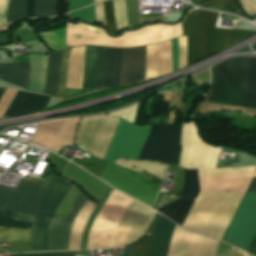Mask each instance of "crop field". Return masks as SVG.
I'll list each match as a JSON object with an SVG mask.
<instances>
[{
	"instance_id": "obj_1",
	"label": "crop field",
	"mask_w": 256,
	"mask_h": 256,
	"mask_svg": "<svg viewBox=\"0 0 256 256\" xmlns=\"http://www.w3.org/2000/svg\"><path fill=\"white\" fill-rule=\"evenodd\" d=\"M152 125H134L120 120L104 160L115 162L116 157L139 159ZM180 127L153 125L140 159L177 164L179 158ZM107 163L100 179L128 195L151 205L158 192L157 184L137 172L146 171L160 179L165 178L167 165L154 162L117 159Z\"/></svg>"
},
{
	"instance_id": "obj_2",
	"label": "crop field",
	"mask_w": 256,
	"mask_h": 256,
	"mask_svg": "<svg viewBox=\"0 0 256 256\" xmlns=\"http://www.w3.org/2000/svg\"><path fill=\"white\" fill-rule=\"evenodd\" d=\"M72 184L52 174L36 208L30 252L47 251L54 213ZM80 192L67 217L55 216L49 238L48 251L67 250L73 223L86 202ZM96 204L87 200L71 231L68 250L79 249L82 231Z\"/></svg>"
},
{
	"instance_id": "obj_3",
	"label": "crop field",
	"mask_w": 256,
	"mask_h": 256,
	"mask_svg": "<svg viewBox=\"0 0 256 256\" xmlns=\"http://www.w3.org/2000/svg\"><path fill=\"white\" fill-rule=\"evenodd\" d=\"M113 189L90 230L87 249L113 247L116 226L133 200ZM153 214L133 200L118 226L131 228L129 242L133 241L147 228Z\"/></svg>"
},
{
	"instance_id": "obj_4",
	"label": "crop field",
	"mask_w": 256,
	"mask_h": 256,
	"mask_svg": "<svg viewBox=\"0 0 256 256\" xmlns=\"http://www.w3.org/2000/svg\"><path fill=\"white\" fill-rule=\"evenodd\" d=\"M206 101L256 108V58H230L212 68Z\"/></svg>"
},
{
	"instance_id": "obj_5",
	"label": "crop field",
	"mask_w": 256,
	"mask_h": 256,
	"mask_svg": "<svg viewBox=\"0 0 256 256\" xmlns=\"http://www.w3.org/2000/svg\"><path fill=\"white\" fill-rule=\"evenodd\" d=\"M217 13L190 11L183 22L184 36L188 39L187 65L219 52L253 34L250 31L215 29Z\"/></svg>"
},
{
	"instance_id": "obj_6",
	"label": "crop field",
	"mask_w": 256,
	"mask_h": 256,
	"mask_svg": "<svg viewBox=\"0 0 256 256\" xmlns=\"http://www.w3.org/2000/svg\"><path fill=\"white\" fill-rule=\"evenodd\" d=\"M242 196L200 191L182 226L221 239Z\"/></svg>"
},
{
	"instance_id": "obj_7",
	"label": "crop field",
	"mask_w": 256,
	"mask_h": 256,
	"mask_svg": "<svg viewBox=\"0 0 256 256\" xmlns=\"http://www.w3.org/2000/svg\"><path fill=\"white\" fill-rule=\"evenodd\" d=\"M182 35L180 24L175 26L152 25L135 32H127L119 38H109L100 28L84 24L67 23V46L83 44L110 47H131L148 45Z\"/></svg>"
},
{
	"instance_id": "obj_8",
	"label": "crop field",
	"mask_w": 256,
	"mask_h": 256,
	"mask_svg": "<svg viewBox=\"0 0 256 256\" xmlns=\"http://www.w3.org/2000/svg\"><path fill=\"white\" fill-rule=\"evenodd\" d=\"M219 150L203 141L194 122L183 123L180 167L198 168L199 176L255 172L256 166L216 169Z\"/></svg>"
},
{
	"instance_id": "obj_9",
	"label": "crop field",
	"mask_w": 256,
	"mask_h": 256,
	"mask_svg": "<svg viewBox=\"0 0 256 256\" xmlns=\"http://www.w3.org/2000/svg\"><path fill=\"white\" fill-rule=\"evenodd\" d=\"M136 106L109 114L83 117L75 143L103 160L120 118L133 123Z\"/></svg>"
},
{
	"instance_id": "obj_10",
	"label": "crop field",
	"mask_w": 256,
	"mask_h": 256,
	"mask_svg": "<svg viewBox=\"0 0 256 256\" xmlns=\"http://www.w3.org/2000/svg\"><path fill=\"white\" fill-rule=\"evenodd\" d=\"M175 224L158 215L146 256H168ZM197 234L175 227L169 256H192Z\"/></svg>"
},
{
	"instance_id": "obj_11",
	"label": "crop field",
	"mask_w": 256,
	"mask_h": 256,
	"mask_svg": "<svg viewBox=\"0 0 256 256\" xmlns=\"http://www.w3.org/2000/svg\"><path fill=\"white\" fill-rule=\"evenodd\" d=\"M256 235V193L246 191L222 240L248 251Z\"/></svg>"
},
{
	"instance_id": "obj_12",
	"label": "crop field",
	"mask_w": 256,
	"mask_h": 256,
	"mask_svg": "<svg viewBox=\"0 0 256 256\" xmlns=\"http://www.w3.org/2000/svg\"><path fill=\"white\" fill-rule=\"evenodd\" d=\"M44 186L21 179L16 189L0 186V212L32 220Z\"/></svg>"
},
{
	"instance_id": "obj_13",
	"label": "crop field",
	"mask_w": 256,
	"mask_h": 256,
	"mask_svg": "<svg viewBox=\"0 0 256 256\" xmlns=\"http://www.w3.org/2000/svg\"><path fill=\"white\" fill-rule=\"evenodd\" d=\"M145 54V46L123 49L120 86L144 80Z\"/></svg>"
},
{
	"instance_id": "obj_14",
	"label": "crop field",
	"mask_w": 256,
	"mask_h": 256,
	"mask_svg": "<svg viewBox=\"0 0 256 256\" xmlns=\"http://www.w3.org/2000/svg\"><path fill=\"white\" fill-rule=\"evenodd\" d=\"M146 79L172 72L170 40L146 46Z\"/></svg>"
},
{
	"instance_id": "obj_15",
	"label": "crop field",
	"mask_w": 256,
	"mask_h": 256,
	"mask_svg": "<svg viewBox=\"0 0 256 256\" xmlns=\"http://www.w3.org/2000/svg\"><path fill=\"white\" fill-rule=\"evenodd\" d=\"M49 99V96L18 91L4 117L20 116L44 109Z\"/></svg>"
},
{
	"instance_id": "obj_16",
	"label": "crop field",
	"mask_w": 256,
	"mask_h": 256,
	"mask_svg": "<svg viewBox=\"0 0 256 256\" xmlns=\"http://www.w3.org/2000/svg\"><path fill=\"white\" fill-rule=\"evenodd\" d=\"M30 63L0 64V80L26 88L29 84Z\"/></svg>"
},
{
	"instance_id": "obj_17",
	"label": "crop field",
	"mask_w": 256,
	"mask_h": 256,
	"mask_svg": "<svg viewBox=\"0 0 256 256\" xmlns=\"http://www.w3.org/2000/svg\"><path fill=\"white\" fill-rule=\"evenodd\" d=\"M84 50L85 46L71 49L66 88L82 89Z\"/></svg>"
},
{
	"instance_id": "obj_18",
	"label": "crop field",
	"mask_w": 256,
	"mask_h": 256,
	"mask_svg": "<svg viewBox=\"0 0 256 256\" xmlns=\"http://www.w3.org/2000/svg\"><path fill=\"white\" fill-rule=\"evenodd\" d=\"M121 54H122V49L106 48L104 88L118 85L120 64H121Z\"/></svg>"
},
{
	"instance_id": "obj_19",
	"label": "crop field",
	"mask_w": 256,
	"mask_h": 256,
	"mask_svg": "<svg viewBox=\"0 0 256 256\" xmlns=\"http://www.w3.org/2000/svg\"><path fill=\"white\" fill-rule=\"evenodd\" d=\"M44 25H45V22L39 23L35 27V33L39 34V33L54 31V30H47ZM64 28H66V21L62 20L61 27L56 30L64 29ZM38 36L45 43V45L51 49L52 53L62 48H68L67 46H65L66 29L39 34Z\"/></svg>"
},
{
	"instance_id": "obj_20",
	"label": "crop field",
	"mask_w": 256,
	"mask_h": 256,
	"mask_svg": "<svg viewBox=\"0 0 256 256\" xmlns=\"http://www.w3.org/2000/svg\"><path fill=\"white\" fill-rule=\"evenodd\" d=\"M48 55L30 56L31 77L28 91L43 94Z\"/></svg>"
},
{
	"instance_id": "obj_21",
	"label": "crop field",
	"mask_w": 256,
	"mask_h": 256,
	"mask_svg": "<svg viewBox=\"0 0 256 256\" xmlns=\"http://www.w3.org/2000/svg\"><path fill=\"white\" fill-rule=\"evenodd\" d=\"M217 240L199 235L194 256H214ZM231 246L219 241L215 256H230Z\"/></svg>"
},
{
	"instance_id": "obj_22",
	"label": "crop field",
	"mask_w": 256,
	"mask_h": 256,
	"mask_svg": "<svg viewBox=\"0 0 256 256\" xmlns=\"http://www.w3.org/2000/svg\"><path fill=\"white\" fill-rule=\"evenodd\" d=\"M194 199L178 198L156 210L174 222L182 225Z\"/></svg>"
},
{
	"instance_id": "obj_23",
	"label": "crop field",
	"mask_w": 256,
	"mask_h": 256,
	"mask_svg": "<svg viewBox=\"0 0 256 256\" xmlns=\"http://www.w3.org/2000/svg\"><path fill=\"white\" fill-rule=\"evenodd\" d=\"M97 47L86 46L83 94L92 92L94 88V72L96 63Z\"/></svg>"
},
{
	"instance_id": "obj_24",
	"label": "crop field",
	"mask_w": 256,
	"mask_h": 256,
	"mask_svg": "<svg viewBox=\"0 0 256 256\" xmlns=\"http://www.w3.org/2000/svg\"><path fill=\"white\" fill-rule=\"evenodd\" d=\"M61 52L50 54L47 81L44 94L54 96L56 95L58 74L60 67Z\"/></svg>"
},
{
	"instance_id": "obj_25",
	"label": "crop field",
	"mask_w": 256,
	"mask_h": 256,
	"mask_svg": "<svg viewBox=\"0 0 256 256\" xmlns=\"http://www.w3.org/2000/svg\"><path fill=\"white\" fill-rule=\"evenodd\" d=\"M184 174H185L184 190H183L182 196L180 197L195 198L199 191L197 169L196 170L185 169Z\"/></svg>"
},
{
	"instance_id": "obj_26",
	"label": "crop field",
	"mask_w": 256,
	"mask_h": 256,
	"mask_svg": "<svg viewBox=\"0 0 256 256\" xmlns=\"http://www.w3.org/2000/svg\"><path fill=\"white\" fill-rule=\"evenodd\" d=\"M0 240L30 242V230L0 227Z\"/></svg>"
},
{
	"instance_id": "obj_27",
	"label": "crop field",
	"mask_w": 256,
	"mask_h": 256,
	"mask_svg": "<svg viewBox=\"0 0 256 256\" xmlns=\"http://www.w3.org/2000/svg\"><path fill=\"white\" fill-rule=\"evenodd\" d=\"M149 239H150V236L143 235L137 240V242L135 241L136 246H135V242H133L129 245H126L125 249H124L123 256H132L134 246H135V249H134L133 256H145L147 247H148V243H149Z\"/></svg>"
},
{
	"instance_id": "obj_28",
	"label": "crop field",
	"mask_w": 256,
	"mask_h": 256,
	"mask_svg": "<svg viewBox=\"0 0 256 256\" xmlns=\"http://www.w3.org/2000/svg\"><path fill=\"white\" fill-rule=\"evenodd\" d=\"M69 51H70V48L64 49L62 53L60 76H59L58 89H57V95H56V97L62 98V99L64 95L65 83L67 78Z\"/></svg>"
},
{
	"instance_id": "obj_29",
	"label": "crop field",
	"mask_w": 256,
	"mask_h": 256,
	"mask_svg": "<svg viewBox=\"0 0 256 256\" xmlns=\"http://www.w3.org/2000/svg\"><path fill=\"white\" fill-rule=\"evenodd\" d=\"M54 0H34V17L53 16Z\"/></svg>"
},
{
	"instance_id": "obj_30",
	"label": "crop field",
	"mask_w": 256,
	"mask_h": 256,
	"mask_svg": "<svg viewBox=\"0 0 256 256\" xmlns=\"http://www.w3.org/2000/svg\"><path fill=\"white\" fill-rule=\"evenodd\" d=\"M113 1H114L117 33H118L120 29L128 27L125 0H113Z\"/></svg>"
},
{
	"instance_id": "obj_31",
	"label": "crop field",
	"mask_w": 256,
	"mask_h": 256,
	"mask_svg": "<svg viewBox=\"0 0 256 256\" xmlns=\"http://www.w3.org/2000/svg\"><path fill=\"white\" fill-rule=\"evenodd\" d=\"M21 17H25V0H10L7 14L8 24Z\"/></svg>"
},
{
	"instance_id": "obj_32",
	"label": "crop field",
	"mask_w": 256,
	"mask_h": 256,
	"mask_svg": "<svg viewBox=\"0 0 256 256\" xmlns=\"http://www.w3.org/2000/svg\"><path fill=\"white\" fill-rule=\"evenodd\" d=\"M104 51H105V47H99L98 54H97L96 77H95L94 91L102 89L103 71H104Z\"/></svg>"
},
{
	"instance_id": "obj_33",
	"label": "crop field",
	"mask_w": 256,
	"mask_h": 256,
	"mask_svg": "<svg viewBox=\"0 0 256 256\" xmlns=\"http://www.w3.org/2000/svg\"><path fill=\"white\" fill-rule=\"evenodd\" d=\"M31 222L0 213V226L30 228Z\"/></svg>"
},
{
	"instance_id": "obj_34",
	"label": "crop field",
	"mask_w": 256,
	"mask_h": 256,
	"mask_svg": "<svg viewBox=\"0 0 256 256\" xmlns=\"http://www.w3.org/2000/svg\"><path fill=\"white\" fill-rule=\"evenodd\" d=\"M104 14H105L106 28H108L111 31V33L116 34L115 17H114L112 0H108L104 2Z\"/></svg>"
},
{
	"instance_id": "obj_35",
	"label": "crop field",
	"mask_w": 256,
	"mask_h": 256,
	"mask_svg": "<svg viewBox=\"0 0 256 256\" xmlns=\"http://www.w3.org/2000/svg\"><path fill=\"white\" fill-rule=\"evenodd\" d=\"M79 192L80 191L73 185L70 192L67 194L66 198L64 199V201L62 202V204L58 208L57 212L67 215L73 201L75 200V198L77 197ZM58 213H57V215H61V214H58ZM65 215H61V216L65 217Z\"/></svg>"
},
{
	"instance_id": "obj_36",
	"label": "crop field",
	"mask_w": 256,
	"mask_h": 256,
	"mask_svg": "<svg viewBox=\"0 0 256 256\" xmlns=\"http://www.w3.org/2000/svg\"><path fill=\"white\" fill-rule=\"evenodd\" d=\"M71 17L73 21L77 19H85L87 21L96 23L94 5L72 12Z\"/></svg>"
},
{
	"instance_id": "obj_37",
	"label": "crop field",
	"mask_w": 256,
	"mask_h": 256,
	"mask_svg": "<svg viewBox=\"0 0 256 256\" xmlns=\"http://www.w3.org/2000/svg\"><path fill=\"white\" fill-rule=\"evenodd\" d=\"M16 93L17 90L6 88L5 92L0 98V117H3Z\"/></svg>"
},
{
	"instance_id": "obj_38",
	"label": "crop field",
	"mask_w": 256,
	"mask_h": 256,
	"mask_svg": "<svg viewBox=\"0 0 256 256\" xmlns=\"http://www.w3.org/2000/svg\"><path fill=\"white\" fill-rule=\"evenodd\" d=\"M179 43V69L186 66L187 60V39L185 37L178 38Z\"/></svg>"
},
{
	"instance_id": "obj_39",
	"label": "crop field",
	"mask_w": 256,
	"mask_h": 256,
	"mask_svg": "<svg viewBox=\"0 0 256 256\" xmlns=\"http://www.w3.org/2000/svg\"><path fill=\"white\" fill-rule=\"evenodd\" d=\"M130 229L117 227L115 244L119 245L127 242Z\"/></svg>"
},
{
	"instance_id": "obj_40",
	"label": "crop field",
	"mask_w": 256,
	"mask_h": 256,
	"mask_svg": "<svg viewBox=\"0 0 256 256\" xmlns=\"http://www.w3.org/2000/svg\"><path fill=\"white\" fill-rule=\"evenodd\" d=\"M239 1L246 13L252 16L256 14V0H239Z\"/></svg>"
},
{
	"instance_id": "obj_41",
	"label": "crop field",
	"mask_w": 256,
	"mask_h": 256,
	"mask_svg": "<svg viewBox=\"0 0 256 256\" xmlns=\"http://www.w3.org/2000/svg\"><path fill=\"white\" fill-rule=\"evenodd\" d=\"M173 71L178 69V43L177 38L171 40Z\"/></svg>"
},
{
	"instance_id": "obj_42",
	"label": "crop field",
	"mask_w": 256,
	"mask_h": 256,
	"mask_svg": "<svg viewBox=\"0 0 256 256\" xmlns=\"http://www.w3.org/2000/svg\"><path fill=\"white\" fill-rule=\"evenodd\" d=\"M203 7H209V8H214V9H218V10H225L230 13H234V14L243 16L238 8V5L203 6Z\"/></svg>"
},
{
	"instance_id": "obj_43",
	"label": "crop field",
	"mask_w": 256,
	"mask_h": 256,
	"mask_svg": "<svg viewBox=\"0 0 256 256\" xmlns=\"http://www.w3.org/2000/svg\"><path fill=\"white\" fill-rule=\"evenodd\" d=\"M88 4H94V1L89 0H69V11L78 9Z\"/></svg>"
},
{
	"instance_id": "obj_44",
	"label": "crop field",
	"mask_w": 256,
	"mask_h": 256,
	"mask_svg": "<svg viewBox=\"0 0 256 256\" xmlns=\"http://www.w3.org/2000/svg\"><path fill=\"white\" fill-rule=\"evenodd\" d=\"M68 0H55L56 15L67 12Z\"/></svg>"
},
{
	"instance_id": "obj_45",
	"label": "crop field",
	"mask_w": 256,
	"mask_h": 256,
	"mask_svg": "<svg viewBox=\"0 0 256 256\" xmlns=\"http://www.w3.org/2000/svg\"><path fill=\"white\" fill-rule=\"evenodd\" d=\"M76 252L67 253H49V254H31V255H11V256H74Z\"/></svg>"
},
{
	"instance_id": "obj_46",
	"label": "crop field",
	"mask_w": 256,
	"mask_h": 256,
	"mask_svg": "<svg viewBox=\"0 0 256 256\" xmlns=\"http://www.w3.org/2000/svg\"><path fill=\"white\" fill-rule=\"evenodd\" d=\"M97 21L104 24L102 2L95 5ZM105 25V24H104Z\"/></svg>"
},
{
	"instance_id": "obj_47",
	"label": "crop field",
	"mask_w": 256,
	"mask_h": 256,
	"mask_svg": "<svg viewBox=\"0 0 256 256\" xmlns=\"http://www.w3.org/2000/svg\"><path fill=\"white\" fill-rule=\"evenodd\" d=\"M82 94V90L78 89H66L64 99H69Z\"/></svg>"
},
{
	"instance_id": "obj_48",
	"label": "crop field",
	"mask_w": 256,
	"mask_h": 256,
	"mask_svg": "<svg viewBox=\"0 0 256 256\" xmlns=\"http://www.w3.org/2000/svg\"><path fill=\"white\" fill-rule=\"evenodd\" d=\"M9 0H0V15L6 16Z\"/></svg>"
},
{
	"instance_id": "obj_49",
	"label": "crop field",
	"mask_w": 256,
	"mask_h": 256,
	"mask_svg": "<svg viewBox=\"0 0 256 256\" xmlns=\"http://www.w3.org/2000/svg\"><path fill=\"white\" fill-rule=\"evenodd\" d=\"M218 4H236L231 0H212L206 3H203V5H218Z\"/></svg>"
},
{
	"instance_id": "obj_50",
	"label": "crop field",
	"mask_w": 256,
	"mask_h": 256,
	"mask_svg": "<svg viewBox=\"0 0 256 256\" xmlns=\"http://www.w3.org/2000/svg\"><path fill=\"white\" fill-rule=\"evenodd\" d=\"M26 17H33V0H27V14Z\"/></svg>"
},
{
	"instance_id": "obj_51",
	"label": "crop field",
	"mask_w": 256,
	"mask_h": 256,
	"mask_svg": "<svg viewBox=\"0 0 256 256\" xmlns=\"http://www.w3.org/2000/svg\"><path fill=\"white\" fill-rule=\"evenodd\" d=\"M231 256H247V254L233 247Z\"/></svg>"
},
{
	"instance_id": "obj_52",
	"label": "crop field",
	"mask_w": 256,
	"mask_h": 256,
	"mask_svg": "<svg viewBox=\"0 0 256 256\" xmlns=\"http://www.w3.org/2000/svg\"><path fill=\"white\" fill-rule=\"evenodd\" d=\"M248 252L256 255V237H255V239H254V241H253V243H252V245H251V247H250Z\"/></svg>"
},
{
	"instance_id": "obj_53",
	"label": "crop field",
	"mask_w": 256,
	"mask_h": 256,
	"mask_svg": "<svg viewBox=\"0 0 256 256\" xmlns=\"http://www.w3.org/2000/svg\"><path fill=\"white\" fill-rule=\"evenodd\" d=\"M8 36L9 34L0 36V44L9 43Z\"/></svg>"
},
{
	"instance_id": "obj_54",
	"label": "crop field",
	"mask_w": 256,
	"mask_h": 256,
	"mask_svg": "<svg viewBox=\"0 0 256 256\" xmlns=\"http://www.w3.org/2000/svg\"><path fill=\"white\" fill-rule=\"evenodd\" d=\"M7 25L5 17H0V28L4 27Z\"/></svg>"
},
{
	"instance_id": "obj_55",
	"label": "crop field",
	"mask_w": 256,
	"mask_h": 256,
	"mask_svg": "<svg viewBox=\"0 0 256 256\" xmlns=\"http://www.w3.org/2000/svg\"><path fill=\"white\" fill-rule=\"evenodd\" d=\"M250 186H254L256 187V177H253L251 183H250Z\"/></svg>"
},
{
	"instance_id": "obj_56",
	"label": "crop field",
	"mask_w": 256,
	"mask_h": 256,
	"mask_svg": "<svg viewBox=\"0 0 256 256\" xmlns=\"http://www.w3.org/2000/svg\"><path fill=\"white\" fill-rule=\"evenodd\" d=\"M247 190H249V191H253V192H256V188H254V187H248V189Z\"/></svg>"
},
{
	"instance_id": "obj_57",
	"label": "crop field",
	"mask_w": 256,
	"mask_h": 256,
	"mask_svg": "<svg viewBox=\"0 0 256 256\" xmlns=\"http://www.w3.org/2000/svg\"><path fill=\"white\" fill-rule=\"evenodd\" d=\"M5 88H0V96L2 95V93L4 92Z\"/></svg>"
},
{
	"instance_id": "obj_58",
	"label": "crop field",
	"mask_w": 256,
	"mask_h": 256,
	"mask_svg": "<svg viewBox=\"0 0 256 256\" xmlns=\"http://www.w3.org/2000/svg\"><path fill=\"white\" fill-rule=\"evenodd\" d=\"M99 1H102V0H95V3H96V2H99Z\"/></svg>"
},
{
	"instance_id": "obj_59",
	"label": "crop field",
	"mask_w": 256,
	"mask_h": 256,
	"mask_svg": "<svg viewBox=\"0 0 256 256\" xmlns=\"http://www.w3.org/2000/svg\"><path fill=\"white\" fill-rule=\"evenodd\" d=\"M255 176H256V174H255Z\"/></svg>"
}]
</instances>
